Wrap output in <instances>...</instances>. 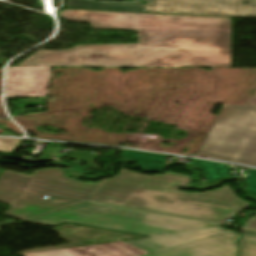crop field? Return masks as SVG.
I'll use <instances>...</instances> for the list:
<instances>
[{
  "mask_svg": "<svg viewBox=\"0 0 256 256\" xmlns=\"http://www.w3.org/2000/svg\"><path fill=\"white\" fill-rule=\"evenodd\" d=\"M174 187L192 188V178L174 172L148 177L122 168L92 200L219 222L252 205L227 185L205 193H185Z\"/></svg>",
  "mask_w": 256,
  "mask_h": 256,
  "instance_id": "crop-field-3",
  "label": "crop field"
},
{
  "mask_svg": "<svg viewBox=\"0 0 256 256\" xmlns=\"http://www.w3.org/2000/svg\"><path fill=\"white\" fill-rule=\"evenodd\" d=\"M188 168H189V170H190L191 172L194 173L195 177H196L198 180H201L200 177H199V174H198V172H197V170H196V169H199L197 166H195V165H189ZM228 179H229V177H228V178H224V179H220V180H217V181H214V182H210V183H206V182H204V181L202 180L203 183L200 184L199 186H197V188H198V189H204V188L214 187V186H217V185H219L221 182H223V181H225V180H228Z\"/></svg>",
  "mask_w": 256,
  "mask_h": 256,
  "instance_id": "crop-field-13",
  "label": "crop field"
},
{
  "mask_svg": "<svg viewBox=\"0 0 256 256\" xmlns=\"http://www.w3.org/2000/svg\"><path fill=\"white\" fill-rule=\"evenodd\" d=\"M245 226L248 228L256 229V216L248 219V221L245 223Z\"/></svg>",
  "mask_w": 256,
  "mask_h": 256,
  "instance_id": "crop-field-16",
  "label": "crop field"
},
{
  "mask_svg": "<svg viewBox=\"0 0 256 256\" xmlns=\"http://www.w3.org/2000/svg\"><path fill=\"white\" fill-rule=\"evenodd\" d=\"M245 187L251 194L256 195V170H249L245 178Z\"/></svg>",
  "mask_w": 256,
  "mask_h": 256,
  "instance_id": "crop-field-12",
  "label": "crop field"
},
{
  "mask_svg": "<svg viewBox=\"0 0 256 256\" xmlns=\"http://www.w3.org/2000/svg\"><path fill=\"white\" fill-rule=\"evenodd\" d=\"M27 222H70L151 237L126 241L151 253L143 256H236L239 236L220 228L221 224L97 203L80 204Z\"/></svg>",
  "mask_w": 256,
  "mask_h": 256,
  "instance_id": "crop-field-2",
  "label": "crop field"
},
{
  "mask_svg": "<svg viewBox=\"0 0 256 256\" xmlns=\"http://www.w3.org/2000/svg\"><path fill=\"white\" fill-rule=\"evenodd\" d=\"M20 140L0 138V151L11 152L19 144Z\"/></svg>",
  "mask_w": 256,
  "mask_h": 256,
  "instance_id": "crop-field-14",
  "label": "crop field"
},
{
  "mask_svg": "<svg viewBox=\"0 0 256 256\" xmlns=\"http://www.w3.org/2000/svg\"><path fill=\"white\" fill-rule=\"evenodd\" d=\"M196 156L256 166V107L223 105Z\"/></svg>",
  "mask_w": 256,
  "mask_h": 256,
  "instance_id": "crop-field-5",
  "label": "crop field"
},
{
  "mask_svg": "<svg viewBox=\"0 0 256 256\" xmlns=\"http://www.w3.org/2000/svg\"><path fill=\"white\" fill-rule=\"evenodd\" d=\"M51 67H9L6 97L46 96Z\"/></svg>",
  "mask_w": 256,
  "mask_h": 256,
  "instance_id": "crop-field-7",
  "label": "crop field"
},
{
  "mask_svg": "<svg viewBox=\"0 0 256 256\" xmlns=\"http://www.w3.org/2000/svg\"><path fill=\"white\" fill-rule=\"evenodd\" d=\"M24 256H73V255L68 253L64 249H61V250L49 251V252L25 254Z\"/></svg>",
  "mask_w": 256,
  "mask_h": 256,
  "instance_id": "crop-field-15",
  "label": "crop field"
},
{
  "mask_svg": "<svg viewBox=\"0 0 256 256\" xmlns=\"http://www.w3.org/2000/svg\"><path fill=\"white\" fill-rule=\"evenodd\" d=\"M244 191H245L247 197H249V198H251L253 200H256V196L251 195L246 189H244Z\"/></svg>",
  "mask_w": 256,
  "mask_h": 256,
  "instance_id": "crop-field-17",
  "label": "crop field"
},
{
  "mask_svg": "<svg viewBox=\"0 0 256 256\" xmlns=\"http://www.w3.org/2000/svg\"><path fill=\"white\" fill-rule=\"evenodd\" d=\"M250 104L253 106H256V94L254 95V97L250 100Z\"/></svg>",
  "mask_w": 256,
  "mask_h": 256,
  "instance_id": "crop-field-18",
  "label": "crop field"
},
{
  "mask_svg": "<svg viewBox=\"0 0 256 256\" xmlns=\"http://www.w3.org/2000/svg\"><path fill=\"white\" fill-rule=\"evenodd\" d=\"M122 156L124 158L131 159L138 163V165L146 171H161L164 166V155L137 152L131 150H123Z\"/></svg>",
  "mask_w": 256,
  "mask_h": 256,
  "instance_id": "crop-field-8",
  "label": "crop field"
},
{
  "mask_svg": "<svg viewBox=\"0 0 256 256\" xmlns=\"http://www.w3.org/2000/svg\"><path fill=\"white\" fill-rule=\"evenodd\" d=\"M243 236L239 241V256H256V232L241 228Z\"/></svg>",
  "mask_w": 256,
  "mask_h": 256,
  "instance_id": "crop-field-11",
  "label": "crop field"
},
{
  "mask_svg": "<svg viewBox=\"0 0 256 256\" xmlns=\"http://www.w3.org/2000/svg\"><path fill=\"white\" fill-rule=\"evenodd\" d=\"M191 164H195L200 168L206 182L214 181L229 176V169L225 168L226 165L205 162L196 159H193Z\"/></svg>",
  "mask_w": 256,
  "mask_h": 256,
  "instance_id": "crop-field-10",
  "label": "crop field"
},
{
  "mask_svg": "<svg viewBox=\"0 0 256 256\" xmlns=\"http://www.w3.org/2000/svg\"><path fill=\"white\" fill-rule=\"evenodd\" d=\"M254 1H256V0H254Z\"/></svg>",
  "mask_w": 256,
  "mask_h": 256,
  "instance_id": "crop-field-19",
  "label": "crop field"
},
{
  "mask_svg": "<svg viewBox=\"0 0 256 256\" xmlns=\"http://www.w3.org/2000/svg\"><path fill=\"white\" fill-rule=\"evenodd\" d=\"M144 12L256 18L252 0H147Z\"/></svg>",
  "mask_w": 256,
  "mask_h": 256,
  "instance_id": "crop-field-6",
  "label": "crop field"
},
{
  "mask_svg": "<svg viewBox=\"0 0 256 256\" xmlns=\"http://www.w3.org/2000/svg\"><path fill=\"white\" fill-rule=\"evenodd\" d=\"M67 20L91 28L137 29L138 44L40 50L17 66L230 67L231 19L65 10Z\"/></svg>",
  "mask_w": 256,
  "mask_h": 256,
  "instance_id": "crop-field-1",
  "label": "crop field"
},
{
  "mask_svg": "<svg viewBox=\"0 0 256 256\" xmlns=\"http://www.w3.org/2000/svg\"><path fill=\"white\" fill-rule=\"evenodd\" d=\"M109 179L99 183H81L65 176L62 169L47 168L31 175L3 171L0 176V202L10 204L5 213L24 220L84 201L50 198L44 195L90 200Z\"/></svg>",
  "mask_w": 256,
  "mask_h": 256,
  "instance_id": "crop-field-4",
  "label": "crop field"
},
{
  "mask_svg": "<svg viewBox=\"0 0 256 256\" xmlns=\"http://www.w3.org/2000/svg\"><path fill=\"white\" fill-rule=\"evenodd\" d=\"M145 5L100 3L89 0H69L68 8L97 9V10H118L143 12Z\"/></svg>",
  "mask_w": 256,
  "mask_h": 256,
  "instance_id": "crop-field-9",
  "label": "crop field"
}]
</instances>
